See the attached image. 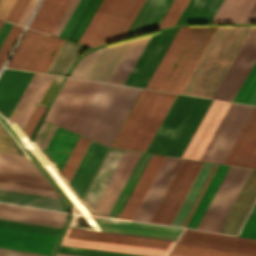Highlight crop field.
Returning <instances> with one entry per match:
<instances>
[{
	"instance_id": "8a807250",
	"label": "crop field",
	"mask_w": 256,
	"mask_h": 256,
	"mask_svg": "<svg viewBox=\"0 0 256 256\" xmlns=\"http://www.w3.org/2000/svg\"><path fill=\"white\" fill-rule=\"evenodd\" d=\"M140 90L99 83L73 132L110 146Z\"/></svg>"
},
{
	"instance_id": "ac0d7876",
	"label": "crop field",
	"mask_w": 256,
	"mask_h": 256,
	"mask_svg": "<svg viewBox=\"0 0 256 256\" xmlns=\"http://www.w3.org/2000/svg\"><path fill=\"white\" fill-rule=\"evenodd\" d=\"M251 27H218L181 93L212 98Z\"/></svg>"
},
{
	"instance_id": "34b2d1b8",
	"label": "crop field",
	"mask_w": 256,
	"mask_h": 256,
	"mask_svg": "<svg viewBox=\"0 0 256 256\" xmlns=\"http://www.w3.org/2000/svg\"><path fill=\"white\" fill-rule=\"evenodd\" d=\"M140 155L109 149L76 213L108 217Z\"/></svg>"
},
{
	"instance_id": "412701ff",
	"label": "crop field",
	"mask_w": 256,
	"mask_h": 256,
	"mask_svg": "<svg viewBox=\"0 0 256 256\" xmlns=\"http://www.w3.org/2000/svg\"><path fill=\"white\" fill-rule=\"evenodd\" d=\"M211 102L177 95L146 152L181 157Z\"/></svg>"
},
{
	"instance_id": "f4fd0767",
	"label": "crop field",
	"mask_w": 256,
	"mask_h": 256,
	"mask_svg": "<svg viewBox=\"0 0 256 256\" xmlns=\"http://www.w3.org/2000/svg\"><path fill=\"white\" fill-rule=\"evenodd\" d=\"M162 159L163 157L161 156L152 155L119 218L131 220L134 212L136 211L148 187L159 170L132 218V220L135 221L149 222L153 212L155 211L159 201L161 200L165 190L167 189L182 161V159L179 158L164 157L163 161Z\"/></svg>"
},
{
	"instance_id": "dd49c442",
	"label": "crop field",
	"mask_w": 256,
	"mask_h": 256,
	"mask_svg": "<svg viewBox=\"0 0 256 256\" xmlns=\"http://www.w3.org/2000/svg\"><path fill=\"white\" fill-rule=\"evenodd\" d=\"M145 0H102L79 43L89 47L121 39Z\"/></svg>"
},
{
	"instance_id": "e52e79f7",
	"label": "crop field",
	"mask_w": 256,
	"mask_h": 256,
	"mask_svg": "<svg viewBox=\"0 0 256 256\" xmlns=\"http://www.w3.org/2000/svg\"><path fill=\"white\" fill-rule=\"evenodd\" d=\"M62 244L165 256L174 242L69 228Z\"/></svg>"
},
{
	"instance_id": "d8731c3e",
	"label": "crop field",
	"mask_w": 256,
	"mask_h": 256,
	"mask_svg": "<svg viewBox=\"0 0 256 256\" xmlns=\"http://www.w3.org/2000/svg\"><path fill=\"white\" fill-rule=\"evenodd\" d=\"M0 181L54 190L40 177L0 171ZM5 184H0V201L66 211L65 203L56 192Z\"/></svg>"
},
{
	"instance_id": "5a996713",
	"label": "crop field",
	"mask_w": 256,
	"mask_h": 256,
	"mask_svg": "<svg viewBox=\"0 0 256 256\" xmlns=\"http://www.w3.org/2000/svg\"><path fill=\"white\" fill-rule=\"evenodd\" d=\"M98 83L67 78L45 120L72 131Z\"/></svg>"
},
{
	"instance_id": "3316defc",
	"label": "crop field",
	"mask_w": 256,
	"mask_h": 256,
	"mask_svg": "<svg viewBox=\"0 0 256 256\" xmlns=\"http://www.w3.org/2000/svg\"><path fill=\"white\" fill-rule=\"evenodd\" d=\"M217 27H194L159 90L180 93Z\"/></svg>"
},
{
	"instance_id": "28ad6ade",
	"label": "crop field",
	"mask_w": 256,
	"mask_h": 256,
	"mask_svg": "<svg viewBox=\"0 0 256 256\" xmlns=\"http://www.w3.org/2000/svg\"><path fill=\"white\" fill-rule=\"evenodd\" d=\"M250 172V169L229 167L197 228L218 232Z\"/></svg>"
},
{
	"instance_id": "d1516ede",
	"label": "crop field",
	"mask_w": 256,
	"mask_h": 256,
	"mask_svg": "<svg viewBox=\"0 0 256 256\" xmlns=\"http://www.w3.org/2000/svg\"><path fill=\"white\" fill-rule=\"evenodd\" d=\"M253 109L231 103L200 160L223 163Z\"/></svg>"
},
{
	"instance_id": "22f410ed",
	"label": "crop field",
	"mask_w": 256,
	"mask_h": 256,
	"mask_svg": "<svg viewBox=\"0 0 256 256\" xmlns=\"http://www.w3.org/2000/svg\"><path fill=\"white\" fill-rule=\"evenodd\" d=\"M202 165L183 159L150 222L171 225Z\"/></svg>"
},
{
	"instance_id": "cbeb9de0",
	"label": "crop field",
	"mask_w": 256,
	"mask_h": 256,
	"mask_svg": "<svg viewBox=\"0 0 256 256\" xmlns=\"http://www.w3.org/2000/svg\"><path fill=\"white\" fill-rule=\"evenodd\" d=\"M179 28L152 34L125 84L145 88Z\"/></svg>"
},
{
	"instance_id": "5142ce71",
	"label": "crop field",
	"mask_w": 256,
	"mask_h": 256,
	"mask_svg": "<svg viewBox=\"0 0 256 256\" xmlns=\"http://www.w3.org/2000/svg\"><path fill=\"white\" fill-rule=\"evenodd\" d=\"M256 61V27H252L213 98L233 101Z\"/></svg>"
},
{
	"instance_id": "d9b57169",
	"label": "crop field",
	"mask_w": 256,
	"mask_h": 256,
	"mask_svg": "<svg viewBox=\"0 0 256 256\" xmlns=\"http://www.w3.org/2000/svg\"><path fill=\"white\" fill-rule=\"evenodd\" d=\"M73 227L112 231L113 227L142 230L143 224L74 215ZM113 232L176 240L183 228L144 224L143 231L118 229Z\"/></svg>"
},
{
	"instance_id": "733c2abd",
	"label": "crop field",
	"mask_w": 256,
	"mask_h": 256,
	"mask_svg": "<svg viewBox=\"0 0 256 256\" xmlns=\"http://www.w3.org/2000/svg\"><path fill=\"white\" fill-rule=\"evenodd\" d=\"M177 243L256 255V240L185 229Z\"/></svg>"
},
{
	"instance_id": "4a817a6b",
	"label": "crop field",
	"mask_w": 256,
	"mask_h": 256,
	"mask_svg": "<svg viewBox=\"0 0 256 256\" xmlns=\"http://www.w3.org/2000/svg\"><path fill=\"white\" fill-rule=\"evenodd\" d=\"M230 103L213 100L182 157L199 160Z\"/></svg>"
},
{
	"instance_id": "bc2a9ffb",
	"label": "crop field",
	"mask_w": 256,
	"mask_h": 256,
	"mask_svg": "<svg viewBox=\"0 0 256 256\" xmlns=\"http://www.w3.org/2000/svg\"><path fill=\"white\" fill-rule=\"evenodd\" d=\"M176 95L159 92L128 149L145 152Z\"/></svg>"
},
{
	"instance_id": "214f88e0",
	"label": "crop field",
	"mask_w": 256,
	"mask_h": 256,
	"mask_svg": "<svg viewBox=\"0 0 256 256\" xmlns=\"http://www.w3.org/2000/svg\"><path fill=\"white\" fill-rule=\"evenodd\" d=\"M54 76L34 73L11 113L13 120L24 130L36 106L40 103Z\"/></svg>"
},
{
	"instance_id": "92a150f3",
	"label": "crop field",
	"mask_w": 256,
	"mask_h": 256,
	"mask_svg": "<svg viewBox=\"0 0 256 256\" xmlns=\"http://www.w3.org/2000/svg\"><path fill=\"white\" fill-rule=\"evenodd\" d=\"M57 236L0 227V247L48 254Z\"/></svg>"
},
{
	"instance_id": "dafd665d",
	"label": "crop field",
	"mask_w": 256,
	"mask_h": 256,
	"mask_svg": "<svg viewBox=\"0 0 256 256\" xmlns=\"http://www.w3.org/2000/svg\"><path fill=\"white\" fill-rule=\"evenodd\" d=\"M78 135L57 127L40 163L55 181Z\"/></svg>"
},
{
	"instance_id": "00972430",
	"label": "crop field",
	"mask_w": 256,
	"mask_h": 256,
	"mask_svg": "<svg viewBox=\"0 0 256 256\" xmlns=\"http://www.w3.org/2000/svg\"><path fill=\"white\" fill-rule=\"evenodd\" d=\"M224 163L256 168V107Z\"/></svg>"
},
{
	"instance_id": "a9b5d70f",
	"label": "crop field",
	"mask_w": 256,
	"mask_h": 256,
	"mask_svg": "<svg viewBox=\"0 0 256 256\" xmlns=\"http://www.w3.org/2000/svg\"><path fill=\"white\" fill-rule=\"evenodd\" d=\"M256 199V170H252L219 232L235 235Z\"/></svg>"
},
{
	"instance_id": "4177f3b9",
	"label": "crop field",
	"mask_w": 256,
	"mask_h": 256,
	"mask_svg": "<svg viewBox=\"0 0 256 256\" xmlns=\"http://www.w3.org/2000/svg\"><path fill=\"white\" fill-rule=\"evenodd\" d=\"M33 73L5 68L0 76V112L7 119Z\"/></svg>"
},
{
	"instance_id": "730fd06b",
	"label": "crop field",
	"mask_w": 256,
	"mask_h": 256,
	"mask_svg": "<svg viewBox=\"0 0 256 256\" xmlns=\"http://www.w3.org/2000/svg\"><path fill=\"white\" fill-rule=\"evenodd\" d=\"M158 92L142 90L111 147L127 149Z\"/></svg>"
},
{
	"instance_id": "eef30255",
	"label": "crop field",
	"mask_w": 256,
	"mask_h": 256,
	"mask_svg": "<svg viewBox=\"0 0 256 256\" xmlns=\"http://www.w3.org/2000/svg\"><path fill=\"white\" fill-rule=\"evenodd\" d=\"M106 150V147L91 141L69 184L79 196L82 197Z\"/></svg>"
},
{
	"instance_id": "ae1a2a85",
	"label": "crop field",
	"mask_w": 256,
	"mask_h": 256,
	"mask_svg": "<svg viewBox=\"0 0 256 256\" xmlns=\"http://www.w3.org/2000/svg\"><path fill=\"white\" fill-rule=\"evenodd\" d=\"M172 0H146L124 37L155 29Z\"/></svg>"
},
{
	"instance_id": "d3111659",
	"label": "crop field",
	"mask_w": 256,
	"mask_h": 256,
	"mask_svg": "<svg viewBox=\"0 0 256 256\" xmlns=\"http://www.w3.org/2000/svg\"><path fill=\"white\" fill-rule=\"evenodd\" d=\"M62 42L63 39L42 33L24 69L47 72Z\"/></svg>"
},
{
	"instance_id": "750c4746",
	"label": "crop field",
	"mask_w": 256,
	"mask_h": 256,
	"mask_svg": "<svg viewBox=\"0 0 256 256\" xmlns=\"http://www.w3.org/2000/svg\"><path fill=\"white\" fill-rule=\"evenodd\" d=\"M71 0H44L29 28L52 34Z\"/></svg>"
},
{
	"instance_id": "bd1437ed",
	"label": "crop field",
	"mask_w": 256,
	"mask_h": 256,
	"mask_svg": "<svg viewBox=\"0 0 256 256\" xmlns=\"http://www.w3.org/2000/svg\"><path fill=\"white\" fill-rule=\"evenodd\" d=\"M151 35L131 40L108 82L124 84Z\"/></svg>"
},
{
	"instance_id": "1d83c4d3",
	"label": "crop field",
	"mask_w": 256,
	"mask_h": 256,
	"mask_svg": "<svg viewBox=\"0 0 256 256\" xmlns=\"http://www.w3.org/2000/svg\"><path fill=\"white\" fill-rule=\"evenodd\" d=\"M193 27H183L180 28L178 34L176 35L174 41L172 42L170 48L168 49L166 55L164 56L163 60L161 61L159 67L157 68L155 74L153 75L151 81L149 82L147 88L158 90L160 84L162 83L163 79L165 78L167 72L169 71L171 65L173 64L175 58L177 57L178 53L180 52L182 46L184 45L186 39L188 38L189 34L191 33ZM146 88V87H145Z\"/></svg>"
},
{
	"instance_id": "120bbe31",
	"label": "crop field",
	"mask_w": 256,
	"mask_h": 256,
	"mask_svg": "<svg viewBox=\"0 0 256 256\" xmlns=\"http://www.w3.org/2000/svg\"><path fill=\"white\" fill-rule=\"evenodd\" d=\"M130 41L105 47L88 79L107 82Z\"/></svg>"
},
{
	"instance_id": "d32e631a",
	"label": "crop field",
	"mask_w": 256,
	"mask_h": 256,
	"mask_svg": "<svg viewBox=\"0 0 256 256\" xmlns=\"http://www.w3.org/2000/svg\"><path fill=\"white\" fill-rule=\"evenodd\" d=\"M223 0H190L176 24L210 23Z\"/></svg>"
},
{
	"instance_id": "5866460e",
	"label": "crop field",
	"mask_w": 256,
	"mask_h": 256,
	"mask_svg": "<svg viewBox=\"0 0 256 256\" xmlns=\"http://www.w3.org/2000/svg\"><path fill=\"white\" fill-rule=\"evenodd\" d=\"M0 215L62 224L66 213L0 203Z\"/></svg>"
},
{
	"instance_id": "028f5c9d",
	"label": "crop field",
	"mask_w": 256,
	"mask_h": 256,
	"mask_svg": "<svg viewBox=\"0 0 256 256\" xmlns=\"http://www.w3.org/2000/svg\"><path fill=\"white\" fill-rule=\"evenodd\" d=\"M256 0H224L211 23H243Z\"/></svg>"
},
{
	"instance_id": "e1f06a70",
	"label": "crop field",
	"mask_w": 256,
	"mask_h": 256,
	"mask_svg": "<svg viewBox=\"0 0 256 256\" xmlns=\"http://www.w3.org/2000/svg\"><path fill=\"white\" fill-rule=\"evenodd\" d=\"M227 168H228V166L218 165V167H217L213 177L211 178L206 190L204 191V193H203L200 201L198 202L193 214L191 215L186 227L196 228L201 216L203 215L208 203L210 202L214 192L216 191V189H217L221 179L223 178Z\"/></svg>"
},
{
	"instance_id": "0bd39190",
	"label": "crop field",
	"mask_w": 256,
	"mask_h": 256,
	"mask_svg": "<svg viewBox=\"0 0 256 256\" xmlns=\"http://www.w3.org/2000/svg\"><path fill=\"white\" fill-rule=\"evenodd\" d=\"M214 164L204 163L199 175L197 176L192 188L184 200L179 212L177 213L172 225L182 226L187 214L189 213L194 201L202 189L207 177L209 176Z\"/></svg>"
},
{
	"instance_id": "b80d0937",
	"label": "crop field",
	"mask_w": 256,
	"mask_h": 256,
	"mask_svg": "<svg viewBox=\"0 0 256 256\" xmlns=\"http://www.w3.org/2000/svg\"><path fill=\"white\" fill-rule=\"evenodd\" d=\"M0 170L41 176L27 156L0 152Z\"/></svg>"
},
{
	"instance_id": "c035e120",
	"label": "crop field",
	"mask_w": 256,
	"mask_h": 256,
	"mask_svg": "<svg viewBox=\"0 0 256 256\" xmlns=\"http://www.w3.org/2000/svg\"><path fill=\"white\" fill-rule=\"evenodd\" d=\"M82 45L64 40L48 72L64 75L71 62L77 58Z\"/></svg>"
},
{
	"instance_id": "c21b1889",
	"label": "crop field",
	"mask_w": 256,
	"mask_h": 256,
	"mask_svg": "<svg viewBox=\"0 0 256 256\" xmlns=\"http://www.w3.org/2000/svg\"><path fill=\"white\" fill-rule=\"evenodd\" d=\"M40 35V32L27 29L23 39L21 40L17 50L7 66L23 69Z\"/></svg>"
},
{
	"instance_id": "03da06ac",
	"label": "crop field",
	"mask_w": 256,
	"mask_h": 256,
	"mask_svg": "<svg viewBox=\"0 0 256 256\" xmlns=\"http://www.w3.org/2000/svg\"><path fill=\"white\" fill-rule=\"evenodd\" d=\"M90 140L79 136L74 148L72 149L67 161L65 162L60 176L68 184L72 174L74 173L78 163L80 162L84 152L86 151Z\"/></svg>"
},
{
	"instance_id": "b54c1fbb",
	"label": "crop field",
	"mask_w": 256,
	"mask_h": 256,
	"mask_svg": "<svg viewBox=\"0 0 256 256\" xmlns=\"http://www.w3.org/2000/svg\"><path fill=\"white\" fill-rule=\"evenodd\" d=\"M62 79H63V77L55 76L53 82L51 83L48 91L46 92V94H45L44 98L42 99L39 106H42V107H45V108L48 107V105H49L52 97L54 96L57 88L59 87ZM39 106H38L37 110L35 111L33 117L31 118L29 124L27 125L25 131L23 132L24 135L27 137V139L30 136V134L32 133L33 129L35 128V126L39 122L42 114L45 111V108H42V107H39Z\"/></svg>"
},
{
	"instance_id": "5d738f31",
	"label": "crop field",
	"mask_w": 256,
	"mask_h": 256,
	"mask_svg": "<svg viewBox=\"0 0 256 256\" xmlns=\"http://www.w3.org/2000/svg\"><path fill=\"white\" fill-rule=\"evenodd\" d=\"M170 253L184 255V256H250V255L204 249V248L185 246V245H179V244H175V246L170 251Z\"/></svg>"
},
{
	"instance_id": "d23c7cc5",
	"label": "crop field",
	"mask_w": 256,
	"mask_h": 256,
	"mask_svg": "<svg viewBox=\"0 0 256 256\" xmlns=\"http://www.w3.org/2000/svg\"><path fill=\"white\" fill-rule=\"evenodd\" d=\"M100 2H101V0H90L89 1L87 7L85 8L84 12L82 13L81 17L79 18L78 22L76 23L71 34L69 35V37H68L69 40L78 42L80 36L82 35L83 31L85 30L87 24L89 23L90 19L92 18L93 14L96 11L97 7L99 6Z\"/></svg>"
},
{
	"instance_id": "425ffa30",
	"label": "crop field",
	"mask_w": 256,
	"mask_h": 256,
	"mask_svg": "<svg viewBox=\"0 0 256 256\" xmlns=\"http://www.w3.org/2000/svg\"><path fill=\"white\" fill-rule=\"evenodd\" d=\"M103 49H104V47L100 48L94 52H91L88 55H86L84 58H82L78 62L77 66L75 65L76 67L70 76L87 79L89 73L91 72L93 66L95 65L96 61L98 60Z\"/></svg>"
},
{
	"instance_id": "25e5ab78",
	"label": "crop field",
	"mask_w": 256,
	"mask_h": 256,
	"mask_svg": "<svg viewBox=\"0 0 256 256\" xmlns=\"http://www.w3.org/2000/svg\"><path fill=\"white\" fill-rule=\"evenodd\" d=\"M58 252L68 253V254H76V255H84V256H144V255H136V254H128V253L64 246V245L60 246Z\"/></svg>"
},
{
	"instance_id": "73cf0c24",
	"label": "crop field",
	"mask_w": 256,
	"mask_h": 256,
	"mask_svg": "<svg viewBox=\"0 0 256 256\" xmlns=\"http://www.w3.org/2000/svg\"><path fill=\"white\" fill-rule=\"evenodd\" d=\"M255 89H256V63L254 64L249 75L247 76L245 82L243 83L238 94L236 95L234 101L248 103Z\"/></svg>"
},
{
	"instance_id": "89e229c0",
	"label": "crop field",
	"mask_w": 256,
	"mask_h": 256,
	"mask_svg": "<svg viewBox=\"0 0 256 256\" xmlns=\"http://www.w3.org/2000/svg\"><path fill=\"white\" fill-rule=\"evenodd\" d=\"M189 0H174L158 28L174 25Z\"/></svg>"
},
{
	"instance_id": "1f2cbd36",
	"label": "crop field",
	"mask_w": 256,
	"mask_h": 256,
	"mask_svg": "<svg viewBox=\"0 0 256 256\" xmlns=\"http://www.w3.org/2000/svg\"><path fill=\"white\" fill-rule=\"evenodd\" d=\"M0 226L57 235L60 229L0 220Z\"/></svg>"
},
{
	"instance_id": "dbb93151",
	"label": "crop field",
	"mask_w": 256,
	"mask_h": 256,
	"mask_svg": "<svg viewBox=\"0 0 256 256\" xmlns=\"http://www.w3.org/2000/svg\"><path fill=\"white\" fill-rule=\"evenodd\" d=\"M88 1L89 0H80L79 1L78 5L74 9L70 18L68 19L67 23L65 24L62 31L60 32L59 37L67 39L68 35L70 34L72 28L74 27L75 23L77 22L78 18L80 17L81 13L83 12Z\"/></svg>"
},
{
	"instance_id": "0fb4a251",
	"label": "crop field",
	"mask_w": 256,
	"mask_h": 256,
	"mask_svg": "<svg viewBox=\"0 0 256 256\" xmlns=\"http://www.w3.org/2000/svg\"><path fill=\"white\" fill-rule=\"evenodd\" d=\"M22 27L13 24L11 30L9 31L8 35L6 36L4 42L0 47V67L6 58L9 50L11 49L12 45L14 44L16 38L18 37L19 33L21 32Z\"/></svg>"
},
{
	"instance_id": "1d79db26",
	"label": "crop field",
	"mask_w": 256,
	"mask_h": 256,
	"mask_svg": "<svg viewBox=\"0 0 256 256\" xmlns=\"http://www.w3.org/2000/svg\"><path fill=\"white\" fill-rule=\"evenodd\" d=\"M55 129H56V126L49 124L45 121H43L42 125L40 126L34 138L39 143V145L43 148V150H45Z\"/></svg>"
},
{
	"instance_id": "9d1cf04e",
	"label": "crop field",
	"mask_w": 256,
	"mask_h": 256,
	"mask_svg": "<svg viewBox=\"0 0 256 256\" xmlns=\"http://www.w3.org/2000/svg\"><path fill=\"white\" fill-rule=\"evenodd\" d=\"M30 0H16L5 20L18 23Z\"/></svg>"
},
{
	"instance_id": "447ae74e",
	"label": "crop field",
	"mask_w": 256,
	"mask_h": 256,
	"mask_svg": "<svg viewBox=\"0 0 256 256\" xmlns=\"http://www.w3.org/2000/svg\"><path fill=\"white\" fill-rule=\"evenodd\" d=\"M150 157H151V155H150V154H147V156H146V158H145L143 164L141 165V167H140L138 173L136 174V176H135V178H134L132 184L130 185V187H129L127 193H126V195L124 196V198H123L121 204L119 205V207H118V209H117V211H116V213H115L116 216H119V214H120V212H121L123 206L125 205V203H126L128 197L130 196V194H131V192H132L134 186L136 185V183H137V181H138L140 175L142 174V172H143L145 166L147 165V163H148Z\"/></svg>"
},
{
	"instance_id": "0765c3eb",
	"label": "crop field",
	"mask_w": 256,
	"mask_h": 256,
	"mask_svg": "<svg viewBox=\"0 0 256 256\" xmlns=\"http://www.w3.org/2000/svg\"><path fill=\"white\" fill-rule=\"evenodd\" d=\"M239 236L256 239V216L249 215L245 225L243 226Z\"/></svg>"
},
{
	"instance_id": "db79e9e6",
	"label": "crop field",
	"mask_w": 256,
	"mask_h": 256,
	"mask_svg": "<svg viewBox=\"0 0 256 256\" xmlns=\"http://www.w3.org/2000/svg\"><path fill=\"white\" fill-rule=\"evenodd\" d=\"M145 156H146V154H145V153H142V155H141V157H140V159H139L137 165L135 166V168H134V170H133V172H132L130 178L128 179V181H127V183H126V185H125L123 191L121 192V194H120V196H119V198H118L116 204L114 205V207H113V209H112V211H111V213H110L111 215H114V213H115V211H116L118 205L120 204V202H121L123 196L125 195V193H126L128 187H129V185L131 184V182H132V180H133L135 174L137 173V171H138L140 165L142 164V162H143Z\"/></svg>"
},
{
	"instance_id": "7b73153f",
	"label": "crop field",
	"mask_w": 256,
	"mask_h": 256,
	"mask_svg": "<svg viewBox=\"0 0 256 256\" xmlns=\"http://www.w3.org/2000/svg\"><path fill=\"white\" fill-rule=\"evenodd\" d=\"M0 151L18 154L15 151L9 136L4 131L1 125H0Z\"/></svg>"
},
{
	"instance_id": "78b8030e",
	"label": "crop field",
	"mask_w": 256,
	"mask_h": 256,
	"mask_svg": "<svg viewBox=\"0 0 256 256\" xmlns=\"http://www.w3.org/2000/svg\"><path fill=\"white\" fill-rule=\"evenodd\" d=\"M79 0H72L69 7L67 8L66 12L64 13L62 19L60 20L59 24L57 25L56 29L53 32V35L58 36L59 32L61 31L62 27L66 23L67 19L69 18L70 14L72 13L73 9L75 8L76 4Z\"/></svg>"
},
{
	"instance_id": "0f1d7ab4",
	"label": "crop field",
	"mask_w": 256,
	"mask_h": 256,
	"mask_svg": "<svg viewBox=\"0 0 256 256\" xmlns=\"http://www.w3.org/2000/svg\"><path fill=\"white\" fill-rule=\"evenodd\" d=\"M0 256H47V255L0 248Z\"/></svg>"
},
{
	"instance_id": "e1d0b9f6",
	"label": "crop field",
	"mask_w": 256,
	"mask_h": 256,
	"mask_svg": "<svg viewBox=\"0 0 256 256\" xmlns=\"http://www.w3.org/2000/svg\"><path fill=\"white\" fill-rule=\"evenodd\" d=\"M0 219H6V220H12V221H18V222H25V223H31V224H38V225H44V226H51V227H57V228L61 227V225H59V224L39 222V221L13 218V217H6V216H0Z\"/></svg>"
},
{
	"instance_id": "ae633e8c",
	"label": "crop field",
	"mask_w": 256,
	"mask_h": 256,
	"mask_svg": "<svg viewBox=\"0 0 256 256\" xmlns=\"http://www.w3.org/2000/svg\"><path fill=\"white\" fill-rule=\"evenodd\" d=\"M38 0H31L27 9L25 10L23 16L21 17L20 21H19V24L21 25H25V23L27 22V20L29 19L36 3H37ZM39 2V1H38Z\"/></svg>"
},
{
	"instance_id": "d14b1444",
	"label": "crop field",
	"mask_w": 256,
	"mask_h": 256,
	"mask_svg": "<svg viewBox=\"0 0 256 256\" xmlns=\"http://www.w3.org/2000/svg\"><path fill=\"white\" fill-rule=\"evenodd\" d=\"M15 0H2L0 3V18L5 19Z\"/></svg>"
},
{
	"instance_id": "c39391a2",
	"label": "crop field",
	"mask_w": 256,
	"mask_h": 256,
	"mask_svg": "<svg viewBox=\"0 0 256 256\" xmlns=\"http://www.w3.org/2000/svg\"><path fill=\"white\" fill-rule=\"evenodd\" d=\"M216 167H217V164H215V166H214V168H213V170H212V172H211L210 176L208 177V179H207V181H206V183H205V185H204L203 189L201 190V192H200V194H199V196H198L197 200L195 201V203H194V205H193V207H192V209H191L190 213L188 214V216H187V218H186V220H185V222H184V224H183V227H185V225H186V223H187V221H188V219H189L190 215L192 214V212H193V210H194V208H195V206H196L197 202L199 201V199H200V197H201V195H202L203 191L205 190V188H206V186H207V184H208V182H209L210 178L212 177V175H213V173H214V171H215Z\"/></svg>"
},
{
	"instance_id": "ade564c9",
	"label": "crop field",
	"mask_w": 256,
	"mask_h": 256,
	"mask_svg": "<svg viewBox=\"0 0 256 256\" xmlns=\"http://www.w3.org/2000/svg\"><path fill=\"white\" fill-rule=\"evenodd\" d=\"M11 26H12L11 23L4 22L2 28L0 29V45L3 42L8 31L10 30Z\"/></svg>"
},
{
	"instance_id": "c5b07064",
	"label": "crop field",
	"mask_w": 256,
	"mask_h": 256,
	"mask_svg": "<svg viewBox=\"0 0 256 256\" xmlns=\"http://www.w3.org/2000/svg\"><path fill=\"white\" fill-rule=\"evenodd\" d=\"M244 23H256V3L245 19Z\"/></svg>"
},
{
	"instance_id": "c3a83c6f",
	"label": "crop field",
	"mask_w": 256,
	"mask_h": 256,
	"mask_svg": "<svg viewBox=\"0 0 256 256\" xmlns=\"http://www.w3.org/2000/svg\"><path fill=\"white\" fill-rule=\"evenodd\" d=\"M249 103L250 104H256V90H255L253 96L251 97Z\"/></svg>"
},
{
	"instance_id": "fb207236",
	"label": "crop field",
	"mask_w": 256,
	"mask_h": 256,
	"mask_svg": "<svg viewBox=\"0 0 256 256\" xmlns=\"http://www.w3.org/2000/svg\"><path fill=\"white\" fill-rule=\"evenodd\" d=\"M56 256H76V255H68V254H60V253H57Z\"/></svg>"
},
{
	"instance_id": "7312dd0a",
	"label": "crop field",
	"mask_w": 256,
	"mask_h": 256,
	"mask_svg": "<svg viewBox=\"0 0 256 256\" xmlns=\"http://www.w3.org/2000/svg\"><path fill=\"white\" fill-rule=\"evenodd\" d=\"M251 214L256 215V204H255V206H254V208H253Z\"/></svg>"
},
{
	"instance_id": "180be81f",
	"label": "crop field",
	"mask_w": 256,
	"mask_h": 256,
	"mask_svg": "<svg viewBox=\"0 0 256 256\" xmlns=\"http://www.w3.org/2000/svg\"><path fill=\"white\" fill-rule=\"evenodd\" d=\"M2 24H3V21H0V28H1Z\"/></svg>"
},
{
	"instance_id": "f0312440",
	"label": "crop field",
	"mask_w": 256,
	"mask_h": 256,
	"mask_svg": "<svg viewBox=\"0 0 256 256\" xmlns=\"http://www.w3.org/2000/svg\"><path fill=\"white\" fill-rule=\"evenodd\" d=\"M168 256H178V255H172V254H168Z\"/></svg>"
},
{
	"instance_id": "1f1604b0",
	"label": "crop field",
	"mask_w": 256,
	"mask_h": 256,
	"mask_svg": "<svg viewBox=\"0 0 256 256\" xmlns=\"http://www.w3.org/2000/svg\"><path fill=\"white\" fill-rule=\"evenodd\" d=\"M73 228V227H72ZM157 239V238H156ZM165 240V239H164ZM173 241V240H172Z\"/></svg>"
},
{
	"instance_id": "819c52e7",
	"label": "crop field",
	"mask_w": 256,
	"mask_h": 256,
	"mask_svg": "<svg viewBox=\"0 0 256 256\" xmlns=\"http://www.w3.org/2000/svg\"><path fill=\"white\" fill-rule=\"evenodd\" d=\"M1 1V0H0Z\"/></svg>"
}]
</instances>
